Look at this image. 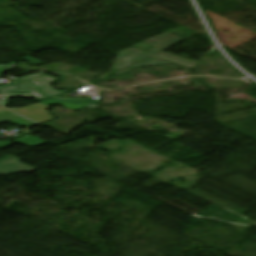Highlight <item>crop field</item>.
I'll return each mask as SVG.
<instances>
[{
	"mask_svg": "<svg viewBox=\"0 0 256 256\" xmlns=\"http://www.w3.org/2000/svg\"><path fill=\"white\" fill-rule=\"evenodd\" d=\"M55 78L42 74H32L27 77L19 78L13 81V84L0 87L2 93H20L30 92L36 98H45L55 96L66 91H58L49 85Z\"/></svg>",
	"mask_w": 256,
	"mask_h": 256,
	"instance_id": "crop-field-1",
	"label": "crop field"
},
{
	"mask_svg": "<svg viewBox=\"0 0 256 256\" xmlns=\"http://www.w3.org/2000/svg\"><path fill=\"white\" fill-rule=\"evenodd\" d=\"M181 40H183V39L178 38L168 32H165L161 35L152 37L144 42L155 47V48H153L145 53H142V52L130 47V48H128L122 52H119L117 54V60L114 63L113 67H114V69L120 70L136 61H139V60L151 55V54L161 51V50H163Z\"/></svg>",
	"mask_w": 256,
	"mask_h": 256,
	"instance_id": "crop-field-2",
	"label": "crop field"
},
{
	"mask_svg": "<svg viewBox=\"0 0 256 256\" xmlns=\"http://www.w3.org/2000/svg\"><path fill=\"white\" fill-rule=\"evenodd\" d=\"M49 108L41 103L34 104L19 109H11L12 111L25 116L29 119H32L40 124L54 120V118L45 110Z\"/></svg>",
	"mask_w": 256,
	"mask_h": 256,
	"instance_id": "crop-field-3",
	"label": "crop field"
},
{
	"mask_svg": "<svg viewBox=\"0 0 256 256\" xmlns=\"http://www.w3.org/2000/svg\"><path fill=\"white\" fill-rule=\"evenodd\" d=\"M34 169L20 163L17 158L11 156L0 161V174H11L18 172H29Z\"/></svg>",
	"mask_w": 256,
	"mask_h": 256,
	"instance_id": "crop-field-4",
	"label": "crop field"
},
{
	"mask_svg": "<svg viewBox=\"0 0 256 256\" xmlns=\"http://www.w3.org/2000/svg\"><path fill=\"white\" fill-rule=\"evenodd\" d=\"M5 121H9L13 124L20 126V127H22V126L30 127V126L34 125V123L0 107V123L5 122Z\"/></svg>",
	"mask_w": 256,
	"mask_h": 256,
	"instance_id": "crop-field-5",
	"label": "crop field"
},
{
	"mask_svg": "<svg viewBox=\"0 0 256 256\" xmlns=\"http://www.w3.org/2000/svg\"><path fill=\"white\" fill-rule=\"evenodd\" d=\"M12 142L33 147V146H36V145H38L40 143H43L45 141H42L40 139H37V138H34L32 136L26 135L24 137H21L17 140L12 141ZM12 142H0V149L12 144ZM3 143H5V144H3Z\"/></svg>",
	"mask_w": 256,
	"mask_h": 256,
	"instance_id": "crop-field-6",
	"label": "crop field"
},
{
	"mask_svg": "<svg viewBox=\"0 0 256 256\" xmlns=\"http://www.w3.org/2000/svg\"><path fill=\"white\" fill-rule=\"evenodd\" d=\"M165 64H170V63H167V62H164V61H161V60H158V59H155V58H152V57H149L139 63H136L128 68H125L115 74H119V75H122L138 66H148V65H165Z\"/></svg>",
	"mask_w": 256,
	"mask_h": 256,
	"instance_id": "crop-field-7",
	"label": "crop field"
},
{
	"mask_svg": "<svg viewBox=\"0 0 256 256\" xmlns=\"http://www.w3.org/2000/svg\"><path fill=\"white\" fill-rule=\"evenodd\" d=\"M154 57H158V58H161V59H164V60L179 63L181 65H184V66H187V67H190V68H192L194 65L197 64L196 62L185 60V59H182V58H179V57H176V56L164 53V52H162V53H160V54H158Z\"/></svg>",
	"mask_w": 256,
	"mask_h": 256,
	"instance_id": "crop-field-8",
	"label": "crop field"
},
{
	"mask_svg": "<svg viewBox=\"0 0 256 256\" xmlns=\"http://www.w3.org/2000/svg\"><path fill=\"white\" fill-rule=\"evenodd\" d=\"M15 65L14 62L7 64V65H0V75L8 71L9 69L13 68Z\"/></svg>",
	"mask_w": 256,
	"mask_h": 256,
	"instance_id": "crop-field-9",
	"label": "crop field"
}]
</instances>
